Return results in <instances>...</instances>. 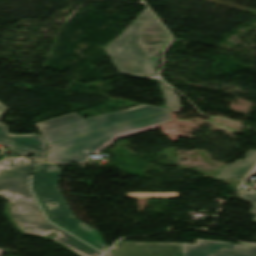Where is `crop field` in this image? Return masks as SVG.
Listing matches in <instances>:
<instances>
[{
    "label": "crop field",
    "mask_w": 256,
    "mask_h": 256,
    "mask_svg": "<svg viewBox=\"0 0 256 256\" xmlns=\"http://www.w3.org/2000/svg\"><path fill=\"white\" fill-rule=\"evenodd\" d=\"M29 160L10 157L0 161V195L6 197L9 214L24 233L45 236L53 231V238L81 256H99L101 253L47 222L28 190Z\"/></svg>",
    "instance_id": "obj_1"
},
{
    "label": "crop field",
    "mask_w": 256,
    "mask_h": 256,
    "mask_svg": "<svg viewBox=\"0 0 256 256\" xmlns=\"http://www.w3.org/2000/svg\"><path fill=\"white\" fill-rule=\"evenodd\" d=\"M61 168L34 160L32 190L38 196L51 221L66 228L96 248L105 251L99 232L77 220L58 188ZM49 203H54L51 206Z\"/></svg>",
    "instance_id": "obj_2"
},
{
    "label": "crop field",
    "mask_w": 256,
    "mask_h": 256,
    "mask_svg": "<svg viewBox=\"0 0 256 256\" xmlns=\"http://www.w3.org/2000/svg\"><path fill=\"white\" fill-rule=\"evenodd\" d=\"M169 113L144 118L125 125L101 130L49 146L47 162L58 164L87 162L89 155L98 153L104 146L122 136L155 128L159 123L169 120Z\"/></svg>",
    "instance_id": "obj_3"
},
{
    "label": "crop field",
    "mask_w": 256,
    "mask_h": 256,
    "mask_svg": "<svg viewBox=\"0 0 256 256\" xmlns=\"http://www.w3.org/2000/svg\"><path fill=\"white\" fill-rule=\"evenodd\" d=\"M164 111H167V109L142 105L111 114H101L86 120L73 113L37 123V126L47 144H49Z\"/></svg>",
    "instance_id": "obj_4"
},
{
    "label": "crop field",
    "mask_w": 256,
    "mask_h": 256,
    "mask_svg": "<svg viewBox=\"0 0 256 256\" xmlns=\"http://www.w3.org/2000/svg\"><path fill=\"white\" fill-rule=\"evenodd\" d=\"M158 21L145 9L135 21L105 49L108 54L133 60L146 75L156 74L140 42L142 27L157 24Z\"/></svg>",
    "instance_id": "obj_5"
},
{
    "label": "crop field",
    "mask_w": 256,
    "mask_h": 256,
    "mask_svg": "<svg viewBox=\"0 0 256 256\" xmlns=\"http://www.w3.org/2000/svg\"><path fill=\"white\" fill-rule=\"evenodd\" d=\"M9 108L0 103V118ZM0 143L6 144L10 150L17 154H35V158L45 161L47 146L43 137L36 134L13 135L9 134L7 126L0 123Z\"/></svg>",
    "instance_id": "obj_6"
},
{
    "label": "crop field",
    "mask_w": 256,
    "mask_h": 256,
    "mask_svg": "<svg viewBox=\"0 0 256 256\" xmlns=\"http://www.w3.org/2000/svg\"><path fill=\"white\" fill-rule=\"evenodd\" d=\"M183 256H256V246L234 245L198 239L194 245L182 243Z\"/></svg>",
    "instance_id": "obj_7"
},
{
    "label": "crop field",
    "mask_w": 256,
    "mask_h": 256,
    "mask_svg": "<svg viewBox=\"0 0 256 256\" xmlns=\"http://www.w3.org/2000/svg\"><path fill=\"white\" fill-rule=\"evenodd\" d=\"M116 256H178L181 243H130L120 241L112 248Z\"/></svg>",
    "instance_id": "obj_8"
},
{
    "label": "crop field",
    "mask_w": 256,
    "mask_h": 256,
    "mask_svg": "<svg viewBox=\"0 0 256 256\" xmlns=\"http://www.w3.org/2000/svg\"><path fill=\"white\" fill-rule=\"evenodd\" d=\"M143 32H154V33H165L161 26L154 25L146 27L143 29ZM141 39H152V40H163V41H141L148 56L157 55L161 47L169 41L167 34H153V33H143Z\"/></svg>",
    "instance_id": "obj_9"
},
{
    "label": "crop field",
    "mask_w": 256,
    "mask_h": 256,
    "mask_svg": "<svg viewBox=\"0 0 256 256\" xmlns=\"http://www.w3.org/2000/svg\"><path fill=\"white\" fill-rule=\"evenodd\" d=\"M246 156L247 158L244 159V161L238 160L235 163L224 167L217 178H235L246 175L256 162V151L250 150Z\"/></svg>",
    "instance_id": "obj_10"
},
{
    "label": "crop field",
    "mask_w": 256,
    "mask_h": 256,
    "mask_svg": "<svg viewBox=\"0 0 256 256\" xmlns=\"http://www.w3.org/2000/svg\"><path fill=\"white\" fill-rule=\"evenodd\" d=\"M157 81L163 88V92H164L168 107L171 108L173 111L179 112L182 106H181L178 95H176L174 91L169 88L168 85H166L159 79H157Z\"/></svg>",
    "instance_id": "obj_11"
},
{
    "label": "crop field",
    "mask_w": 256,
    "mask_h": 256,
    "mask_svg": "<svg viewBox=\"0 0 256 256\" xmlns=\"http://www.w3.org/2000/svg\"><path fill=\"white\" fill-rule=\"evenodd\" d=\"M111 59L113 60L114 64L116 65V67L118 68L120 73L144 76L138 70L136 65L134 63H132L131 61L124 60L121 58H116V57H111Z\"/></svg>",
    "instance_id": "obj_12"
},
{
    "label": "crop field",
    "mask_w": 256,
    "mask_h": 256,
    "mask_svg": "<svg viewBox=\"0 0 256 256\" xmlns=\"http://www.w3.org/2000/svg\"><path fill=\"white\" fill-rule=\"evenodd\" d=\"M127 198H178V193H128Z\"/></svg>",
    "instance_id": "obj_13"
},
{
    "label": "crop field",
    "mask_w": 256,
    "mask_h": 256,
    "mask_svg": "<svg viewBox=\"0 0 256 256\" xmlns=\"http://www.w3.org/2000/svg\"><path fill=\"white\" fill-rule=\"evenodd\" d=\"M238 198H240V199H242V200H244V201H246V202H249V203L253 204L254 207H253L251 213L256 214V192L245 193V194L241 193V194L238 196ZM254 221H256V218H255Z\"/></svg>",
    "instance_id": "obj_14"
},
{
    "label": "crop field",
    "mask_w": 256,
    "mask_h": 256,
    "mask_svg": "<svg viewBox=\"0 0 256 256\" xmlns=\"http://www.w3.org/2000/svg\"><path fill=\"white\" fill-rule=\"evenodd\" d=\"M155 69L157 68L158 62H159V55L151 59Z\"/></svg>",
    "instance_id": "obj_15"
},
{
    "label": "crop field",
    "mask_w": 256,
    "mask_h": 256,
    "mask_svg": "<svg viewBox=\"0 0 256 256\" xmlns=\"http://www.w3.org/2000/svg\"><path fill=\"white\" fill-rule=\"evenodd\" d=\"M105 256H114L111 251H109Z\"/></svg>",
    "instance_id": "obj_16"
},
{
    "label": "crop field",
    "mask_w": 256,
    "mask_h": 256,
    "mask_svg": "<svg viewBox=\"0 0 256 256\" xmlns=\"http://www.w3.org/2000/svg\"><path fill=\"white\" fill-rule=\"evenodd\" d=\"M254 173H256V167L254 168V170L250 173V175H252V174H254ZM249 175V176H250Z\"/></svg>",
    "instance_id": "obj_17"
},
{
    "label": "crop field",
    "mask_w": 256,
    "mask_h": 256,
    "mask_svg": "<svg viewBox=\"0 0 256 256\" xmlns=\"http://www.w3.org/2000/svg\"><path fill=\"white\" fill-rule=\"evenodd\" d=\"M5 253V251H3L2 249H0V255Z\"/></svg>",
    "instance_id": "obj_18"
},
{
    "label": "crop field",
    "mask_w": 256,
    "mask_h": 256,
    "mask_svg": "<svg viewBox=\"0 0 256 256\" xmlns=\"http://www.w3.org/2000/svg\"><path fill=\"white\" fill-rule=\"evenodd\" d=\"M149 58V57H148Z\"/></svg>",
    "instance_id": "obj_19"
}]
</instances>
